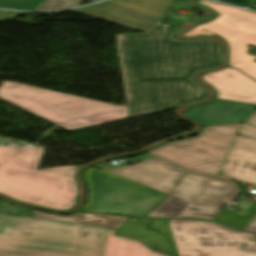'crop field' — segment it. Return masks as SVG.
I'll list each match as a JSON object with an SVG mask.
<instances>
[{
	"label": "crop field",
	"mask_w": 256,
	"mask_h": 256,
	"mask_svg": "<svg viewBox=\"0 0 256 256\" xmlns=\"http://www.w3.org/2000/svg\"><path fill=\"white\" fill-rule=\"evenodd\" d=\"M173 26L158 21L146 33L116 35L129 117L206 98L189 77L220 63L218 45L177 41Z\"/></svg>",
	"instance_id": "8a807250"
},
{
	"label": "crop field",
	"mask_w": 256,
	"mask_h": 256,
	"mask_svg": "<svg viewBox=\"0 0 256 256\" xmlns=\"http://www.w3.org/2000/svg\"><path fill=\"white\" fill-rule=\"evenodd\" d=\"M105 229L0 214V256H102Z\"/></svg>",
	"instance_id": "ac0d7876"
},
{
	"label": "crop field",
	"mask_w": 256,
	"mask_h": 256,
	"mask_svg": "<svg viewBox=\"0 0 256 256\" xmlns=\"http://www.w3.org/2000/svg\"><path fill=\"white\" fill-rule=\"evenodd\" d=\"M44 148L0 145V193L18 201L58 210L76 204L78 166L36 170Z\"/></svg>",
	"instance_id": "34b2d1b8"
},
{
	"label": "crop field",
	"mask_w": 256,
	"mask_h": 256,
	"mask_svg": "<svg viewBox=\"0 0 256 256\" xmlns=\"http://www.w3.org/2000/svg\"><path fill=\"white\" fill-rule=\"evenodd\" d=\"M0 98L67 130L128 117L127 106L83 99L4 81Z\"/></svg>",
	"instance_id": "412701ff"
},
{
	"label": "crop field",
	"mask_w": 256,
	"mask_h": 256,
	"mask_svg": "<svg viewBox=\"0 0 256 256\" xmlns=\"http://www.w3.org/2000/svg\"><path fill=\"white\" fill-rule=\"evenodd\" d=\"M240 190L225 177L187 172L170 195L159 202L146 217H191L212 219L222 208L236 200Z\"/></svg>",
	"instance_id": "f4fd0767"
},
{
	"label": "crop field",
	"mask_w": 256,
	"mask_h": 256,
	"mask_svg": "<svg viewBox=\"0 0 256 256\" xmlns=\"http://www.w3.org/2000/svg\"><path fill=\"white\" fill-rule=\"evenodd\" d=\"M168 225L178 256H256L253 234L196 220L171 219Z\"/></svg>",
	"instance_id": "dd49c442"
},
{
	"label": "crop field",
	"mask_w": 256,
	"mask_h": 256,
	"mask_svg": "<svg viewBox=\"0 0 256 256\" xmlns=\"http://www.w3.org/2000/svg\"><path fill=\"white\" fill-rule=\"evenodd\" d=\"M85 177L89 195L83 211L144 216L165 195L93 168L86 171Z\"/></svg>",
	"instance_id": "e52e79f7"
},
{
	"label": "crop field",
	"mask_w": 256,
	"mask_h": 256,
	"mask_svg": "<svg viewBox=\"0 0 256 256\" xmlns=\"http://www.w3.org/2000/svg\"><path fill=\"white\" fill-rule=\"evenodd\" d=\"M219 13L209 23L201 24L185 34L184 37L198 35H217L227 41L229 46V65L239 68L256 79V56L249 55L247 43L256 45V14L238 8L199 0Z\"/></svg>",
	"instance_id": "d8731c3e"
},
{
	"label": "crop field",
	"mask_w": 256,
	"mask_h": 256,
	"mask_svg": "<svg viewBox=\"0 0 256 256\" xmlns=\"http://www.w3.org/2000/svg\"><path fill=\"white\" fill-rule=\"evenodd\" d=\"M240 124L204 128L196 138L164 144L146 153L190 170L217 175Z\"/></svg>",
	"instance_id": "5a996713"
},
{
	"label": "crop field",
	"mask_w": 256,
	"mask_h": 256,
	"mask_svg": "<svg viewBox=\"0 0 256 256\" xmlns=\"http://www.w3.org/2000/svg\"><path fill=\"white\" fill-rule=\"evenodd\" d=\"M171 0H109L71 10L109 23L145 32L156 23Z\"/></svg>",
	"instance_id": "3316defc"
},
{
	"label": "crop field",
	"mask_w": 256,
	"mask_h": 256,
	"mask_svg": "<svg viewBox=\"0 0 256 256\" xmlns=\"http://www.w3.org/2000/svg\"><path fill=\"white\" fill-rule=\"evenodd\" d=\"M186 170L155 159L110 173L134 180L162 193H169Z\"/></svg>",
	"instance_id": "28ad6ade"
},
{
	"label": "crop field",
	"mask_w": 256,
	"mask_h": 256,
	"mask_svg": "<svg viewBox=\"0 0 256 256\" xmlns=\"http://www.w3.org/2000/svg\"><path fill=\"white\" fill-rule=\"evenodd\" d=\"M217 92L216 98H223L256 104V82L230 67L201 76Z\"/></svg>",
	"instance_id": "d1516ede"
},
{
	"label": "crop field",
	"mask_w": 256,
	"mask_h": 256,
	"mask_svg": "<svg viewBox=\"0 0 256 256\" xmlns=\"http://www.w3.org/2000/svg\"><path fill=\"white\" fill-rule=\"evenodd\" d=\"M222 171L228 178L253 185L256 189V138L238 135Z\"/></svg>",
	"instance_id": "22f410ed"
},
{
	"label": "crop field",
	"mask_w": 256,
	"mask_h": 256,
	"mask_svg": "<svg viewBox=\"0 0 256 256\" xmlns=\"http://www.w3.org/2000/svg\"><path fill=\"white\" fill-rule=\"evenodd\" d=\"M256 105L217 99L209 105L192 108L184 113L203 125L246 121Z\"/></svg>",
	"instance_id": "cbeb9de0"
},
{
	"label": "crop field",
	"mask_w": 256,
	"mask_h": 256,
	"mask_svg": "<svg viewBox=\"0 0 256 256\" xmlns=\"http://www.w3.org/2000/svg\"><path fill=\"white\" fill-rule=\"evenodd\" d=\"M114 231L107 229L104 256H165L149 250L135 239L114 236Z\"/></svg>",
	"instance_id": "5142ce71"
},
{
	"label": "crop field",
	"mask_w": 256,
	"mask_h": 256,
	"mask_svg": "<svg viewBox=\"0 0 256 256\" xmlns=\"http://www.w3.org/2000/svg\"><path fill=\"white\" fill-rule=\"evenodd\" d=\"M33 217L67 221V222H77L83 224H91L109 228L118 229L128 218L110 215H100V214H83L80 216L69 215V216H58L54 214L44 213L40 211L33 210Z\"/></svg>",
	"instance_id": "d9b57169"
},
{
	"label": "crop field",
	"mask_w": 256,
	"mask_h": 256,
	"mask_svg": "<svg viewBox=\"0 0 256 256\" xmlns=\"http://www.w3.org/2000/svg\"><path fill=\"white\" fill-rule=\"evenodd\" d=\"M256 213V203L246 213L222 211L215 221L244 230Z\"/></svg>",
	"instance_id": "733c2abd"
},
{
	"label": "crop field",
	"mask_w": 256,
	"mask_h": 256,
	"mask_svg": "<svg viewBox=\"0 0 256 256\" xmlns=\"http://www.w3.org/2000/svg\"><path fill=\"white\" fill-rule=\"evenodd\" d=\"M82 0H46L36 10L67 8L80 5Z\"/></svg>",
	"instance_id": "4a817a6b"
},
{
	"label": "crop field",
	"mask_w": 256,
	"mask_h": 256,
	"mask_svg": "<svg viewBox=\"0 0 256 256\" xmlns=\"http://www.w3.org/2000/svg\"><path fill=\"white\" fill-rule=\"evenodd\" d=\"M239 133L246 136L256 137V127L246 124L241 128Z\"/></svg>",
	"instance_id": "bc2a9ffb"
},
{
	"label": "crop field",
	"mask_w": 256,
	"mask_h": 256,
	"mask_svg": "<svg viewBox=\"0 0 256 256\" xmlns=\"http://www.w3.org/2000/svg\"><path fill=\"white\" fill-rule=\"evenodd\" d=\"M223 2L226 3H230V4H234V5H238V6H242V7H246L249 3H251V0H221Z\"/></svg>",
	"instance_id": "214f88e0"
},
{
	"label": "crop field",
	"mask_w": 256,
	"mask_h": 256,
	"mask_svg": "<svg viewBox=\"0 0 256 256\" xmlns=\"http://www.w3.org/2000/svg\"><path fill=\"white\" fill-rule=\"evenodd\" d=\"M245 230L256 233V215L254 216V218L252 219V221L249 223Z\"/></svg>",
	"instance_id": "92a150f3"
},
{
	"label": "crop field",
	"mask_w": 256,
	"mask_h": 256,
	"mask_svg": "<svg viewBox=\"0 0 256 256\" xmlns=\"http://www.w3.org/2000/svg\"><path fill=\"white\" fill-rule=\"evenodd\" d=\"M248 123H250V124L256 126V113H255L254 116L250 119V121H249Z\"/></svg>",
	"instance_id": "dafd665d"
}]
</instances>
